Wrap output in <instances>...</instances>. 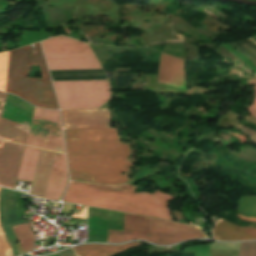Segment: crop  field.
<instances>
[{
    "mask_svg": "<svg viewBox=\"0 0 256 256\" xmlns=\"http://www.w3.org/2000/svg\"><path fill=\"white\" fill-rule=\"evenodd\" d=\"M40 149L25 147L18 179L32 182Z\"/></svg>",
    "mask_w": 256,
    "mask_h": 256,
    "instance_id": "17",
    "label": "crop field"
},
{
    "mask_svg": "<svg viewBox=\"0 0 256 256\" xmlns=\"http://www.w3.org/2000/svg\"><path fill=\"white\" fill-rule=\"evenodd\" d=\"M60 256H74L72 249L59 253Z\"/></svg>",
    "mask_w": 256,
    "mask_h": 256,
    "instance_id": "27",
    "label": "crop field"
},
{
    "mask_svg": "<svg viewBox=\"0 0 256 256\" xmlns=\"http://www.w3.org/2000/svg\"><path fill=\"white\" fill-rule=\"evenodd\" d=\"M42 44L50 70L102 69L87 44L63 36Z\"/></svg>",
    "mask_w": 256,
    "mask_h": 256,
    "instance_id": "4",
    "label": "crop field"
},
{
    "mask_svg": "<svg viewBox=\"0 0 256 256\" xmlns=\"http://www.w3.org/2000/svg\"><path fill=\"white\" fill-rule=\"evenodd\" d=\"M229 44L237 49L239 52L244 54L246 57H248L251 62L256 66V46L254 44L246 39L238 43Z\"/></svg>",
    "mask_w": 256,
    "mask_h": 256,
    "instance_id": "20",
    "label": "crop field"
},
{
    "mask_svg": "<svg viewBox=\"0 0 256 256\" xmlns=\"http://www.w3.org/2000/svg\"><path fill=\"white\" fill-rule=\"evenodd\" d=\"M24 147L0 141V186L14 189Z\"/></svg>",
    "mask_w": 256,
    "mask_h": 256,
    "instance_id": "9",
    "label": "crop field"
},
{
    "mask_svg": "<svg viewBox=\"0 0 256 256\" xmlns=\"http://www.w3.org/2000/svg\"><path fill=\"white\" fill-rule=\"evenodd\" d=\"M135 188L70 182L64 201L171 220L167 205L171 197L157 190L152 195L134 194Z\"/></svg>",
    "mask_w": 256,
    "mask_h": 256,
    "instance_id": "2",
    "label": "crop field"
},
{
    "mask_svg": "<svg viewBox=\"0 0 256 256\" xmlns=\"http://www.w3.org/2000/svg\"><path fill=\"white\" fill-rule=\"evenodd\" d=\"M246 39H248L249 41H251L252 43H254L256 45V35L251 36V37L246 38Z\"/></svg>",
    "mask_w": 256,
    "mask_h": 256,
    "instance_id": "29",
    "label": "crop field"
},
{
    "mask_svg": "<svg viewBox=\"0 0 256 256\" xmlns=\"http://www.w3.org/2000/svg\"><path fill=\"white\" fill-rule=\"evenodd\" d=\"M239 256H256V242L241 243Z\"/></svg>",
    "mask_w": 256,
    "mask_h": 256,
    "instance_id": "23",
    "label": "crop field"
},
{
    "mask_svg": "<svg viewBox=\"0 0 256 256\" xmlns=\"http://www.w3.org/2000/svg\"><path fill=\"white\" fill-rule=\"evenodd\" d=\"M26 145L65 153L59 111L35 108Z\"/></svg>",
    "mask_w": 256,
    "mask_h": 256,
    "instance_id": "7",
    "label": "crop field"
},
{
    "mask_svg": "<svg viewBox=\"0 0 256 256\" xmlns=\"http://www.w3.org/2000/svg\"><path fill=\"white\" fill-rule=\"evenodd\" d=\"M54 154L55 153L53 152L41 150L34 180L31 186V195H35L42 198L44 197Z\"/></svg>",
    "mask_w": 256,
    "mask_h": 256,
    "instance_id": "14",
    "label": "crop field"
},
{
    "mask_svg": "<svg viewBox=\"0 0 256 256\" xmlns=\"http://www.w3.org/2000/svg\"><path fill=\"white\" fill-rule=\"evenodd\" d=\"M37 52L24 47L10 52L6 92L42 108L59 109L40 43ZM29 65H39L42 79L27 78Z\"/></svg>",
    "mask_w": 256,
    "mask_h": 256,
    "instance_id": "3",
    "label": "crop field"
},
{
    "mask_svg": "<svg viewBox=\"0 0 256 256\" xmlns=\"http://www.w3.org/2000/svg\"><path fill=\"white\" fill-rule=\"evenodd\" d=\"M237 216H238L239 218H241V219L246 220V221H253V222H256V218H246V217L241 216V215H239V214H237Z\"/></svg>",
    "mask_w": 256,
    "mask_h": 256,
    "instance_id": "28",
    "label": "crop field"
},
{
    "mask_svg": "<svg viewBox=\"0 0 256 256\" xmlns=\"http://www.w3.org/2000/svg\"><path fill=\"white\" fill-rule=\"evenodd\" d=\"M64 129L110 128L109 109L62 111Z\"/></svg>",
    "mask_w": 256,
    "mask_h": 256,
    "instance_id": "8",
    "label": "crop field"
},
{
    "mask_svg": "<svg viewBox=\"0 0 256 256\" xmlns=\"http://www.w3.org/2000/svg\"><path fill=\"white\" fill-rule=\"evenodd\" d=\"M140 242L120 246L84 245L73 248L79 256H114L127 248L138 246Z\"/></svg>",
    "mask_w": 256,
    "mask_h": 256,
    "instance_id": "16",
    "label": "crop field"
},
{
    "mask_svg": "<svg viewBox=\"0 0 256 256\" xmlns=\"http://www.w3.org/2000/svg\"><path fill=\"white\" fill-rule=\"evenodd\" d=\"M148 218L125 214L124 233L147 235Z\"/></svg>",
    "mask_w": 256,
    "mask_h": 256,
    "instance_id": "18",
    "label": "crop field"
},
{
    "mask_svg": "<svg viewBox=\"0 0 256 256\" xmlns=\"http://www.w3.org/2000/svg\"><path fill=\"white\" fill-rule=\"evenodd\" d=\"M6 95H7L6 93L0 92V118H1L2 110H3V106L5 103Z\"/></svg>",
    "mask_w": 256,
    "mask_h": 256,
    "instance_id": "26",
    "label": "crop field"
},
{
    "mask_svg": "<svg viewBox=\"0 0 256 256\" xmlns=\"http://www.w3.org/2000/svg\"><path fill=\"white\" fill-rule=\"evenodd\" d=\"M214 239L225 241L256 240V228H241L219 219L212 231Z\"/></svg>",
    "mask_w": 256,
    "mask_h": 256,
    "instance_id": "13",
    "label": "crop field"
},
{
    "mask_svg": "<svg viewBox=\"0 0 256 256\" xmlns=\"http://www.w3.org/2000/svg\"><path fill=\"white\" fill-rule=\"evenodd\" d=\"M3 206L5 209V214H6V225L4 223L3 219ZM0 220H1V225L12 245L13 249V254L14 256H19L14 242H18L17 239L15 238L10 226L17 225V224H22L26 223L22 217L17 218V206H16V200H15V194L14 191L4 189L2 188L1 190V196H0Z\"/></svg>",
    "mask_w": 256,
    "mask_h": 256,
    "instance_id": "10",
    "label": "crop field"
},
{
    "mask_svg": "<svg viewBox=\"0 0 256 256\" xmlns=\"http://www.w3.org/2000/svg\"><path fill=\"white\" fill-rule=\"evenodd\" d=\"M29 127L1 118L0 139L25 145Z\"/></svg>",
    "mask_w": 256,
    "mask_h": 256,
    "instance_id": "15",
    "label": "crop field"
},
{
    "mask_svg": "<svg viewBox=\"0 0 256 256\" xmlns=\"http://www.w3.org/2000/svg\"><path fill=\"white\" fill-rule=\"evenodd\" d=\"M205 233L189 225L149 218L148 236L123 234V231L108 230L107 243H121L142 239L159 245H170L188 239L206 238Z\"/></svg>",
    "mask_w": 256,
    "mask_h": 256,
    "instance_id": "6",
    "label": "crop field"
},
{
    "mask_svg": "<svg viewBox=\"0 0 256 256\" xmlns=\"http://www.w3.org/2000/svg\"><path fill=\"white\" fill-rule=\"evenodd\" d=\"M67 178L65 155L56 153L44 198L58 201L66 186Z\"/></svg>",
    "mask_w": 256,
    "mask_h": 256,
    "instance_id": "12",
    "label": "crop field"
},
{
    "mask_svg": "<svg viewBox=\"0 0 256 256\" xmlns=\"http://www.w3.org/2000/svg\"><path fill=\"white\" fill-rule=\"evenodd\" d=\"M1 190V188H0ZM0 256H13L11 245L0 225Z\"/></svg>",
    "mask_w": 256,
    "mask_h": 256,
    "instance_id": "22",
    "label": "crop field"
},
{
    "mask_svg": "<svg viewBox=\"0 0 256 256\" xmlns=\"http://www.w3.org/2000/svg\"><path fill=\"white\" fill-rule=\"evenodd\" d=\"M158 83L186 90L184 61L161 53Z\"/></svg>",
    "mask_w": 256,
    "mask_h": 256,
    "instance_id": "11",
    "label": "crop field"
},
{
    "mask_svg": "<svg viewBox=\"0 0 256 256\" xmlns=\"http://www.w3.org/2000/svg\"><path fill=\"white\" fill-rule=\"evenodd\" d=\"M12 229L19 240L23 252L32 251L34 238L28 223L14 226Z\"/></svg>",
    "mask_w": 256,
    "mask_h": 256,
    "instance_id": "19",
    "label": "crop field"
},
{
    "mask_svg": "<svg viewBox=\"0 0 256 256\" xmlns=\"http://www.w3.org/2000/svg\"><path fill=\"white\" fill-rule=\"evenodd\" d=\"M9 52L0 53V90L5 92Z\"/></svg>",
    "mask_w": 256,
    "mask_h": 256,
    "instance_id": "21",
    "label": "crop field"
},
{
    "mask_svg": "<svg viewBox=\"0 0 256 256\" xmlns=\"http://www.w3.org/2000/svg\"><path fill=\"white\" fill-rule=\"evenodd\" d=\"M236 129H238L241 132H243L244 134H246L256 144V132H254L242 125H239Z\"/></svg>",
    "mask_w": 256,
    "mask_h": 256,
    "instance_id": "24",
    "label": "crop field"
},
{
    "mask_svg": "<svg viewBox=\"0 0 256 256\" xmlns=\"http://www.w3.org/2000/svg\"><path fill=\"white\" fill-rule=\"evenodd\" d=\"M70 178L74 181L118 185L127 182L132 163L129 146L119 142L115 129L64 130Z\"/></svg>",
    "mask_w": 256,
    "mask_h": 256,
    "instance_id": "1",
    "label": "crop field"
},
{
    "mask_svg": "<svg viewBox=\"0 0 256 256\" xmlns=\"http://www.w3.org/2000/svg\"><path fill=\"white\" fill-rule=\"evenodd\" d=\"M247 110L249 111V113L256 118V86H255V98H254V102L251 105L250 108H247Z\"/></svg>",
    "mask_w": 256,
    "mask_h": 256,
    "instance_id": "25",
    "label": "crop field"
},
{
    "mask_svg": "<svg viewBox=\"0 0 256 256\" xmlns=\"http://www.w3.org/2000/svg\"><path fill=\"white\" fill-rule=\"evenodd\" d=\"M53 83L61 109L98 108L110 97L108 80Z\"/></svg>",
    "mask_w": 256,
    "mask_h": 256,
    "instance_id": "5",
    "label": "crop field"
}]
</instances>
